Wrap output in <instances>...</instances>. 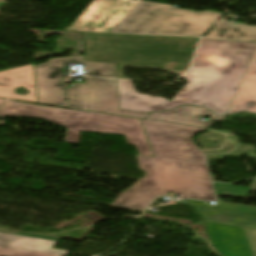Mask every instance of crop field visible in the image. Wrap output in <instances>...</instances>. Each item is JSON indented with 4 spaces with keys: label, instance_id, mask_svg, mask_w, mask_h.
Wrapping results in <instances>:
<instances>
[{
    "label": "crop field",
    "instance_id": "5",
    "mask_svg": "<svg viewBox=\"0 0 256 256\" xmlns=\"http://www.w3.org/2000/svg\"><path fill=\"white\" fill-rule=\"evenodd\" d=\"M223 15L141 0L110 33L200 38Z\"/></svg>",
    "mask_w": 256,
    "mask_h": 256
},
{
    "label": "crop field",
    "instance_id": "13",
    "mask_svg": "<svg viewBox=\"0 0 256 256\" xmlns=\"http://www.w3.org/2000/svg\"><path fill=\"white\" fill-rule=\"evenodd\" d=\"M205 116H210V119L207 120V122L198 121L200 117ZM224 118L225 117L214 115L212 112L206 110L205 108L182 106L176 110L162 113H151L148 119L209 128L214 121H223Z\"/></svg>",
    "mask_w": 256,
    "mask_h": 256
},
{
    "label": "crop field",
    "instance_id": "8",
    "mask_svg": "<svg viewBox=\"0 0 256 256\" xmlns=\"http://www.w3.org/2000/svg\"><path fill=\"white\" fill-rule=\"evenodd\" d=\"M140 0H93L66 30L109 33Z\"/></svg>",
    "mask_w": 256,
    "mask_h": 256
},
{
    "label": "crop field",
    "instance_id": "16",
    "mask_svg": "<svg viewBox=\"0 0 256 256\" xmlns=\"http://www.w3.org/2000/svg\"><path fill=\"white\" fill-rule=\"evenodd\" d=\"M214 185H215L216 193L218 195H225L230 197H239L240 195H247L249 190L251 189L247 187L221 185L216 183H214Z\"/></svg>",
    "mask_w": 256,
    "mask_h": 256
},
{
    "label": "crop field",
    "instance_id": "10",
    "mask_svg": "<svg viewBox=\"0 0 256 256\" xmlns=\"http://www.w3.org/2000/svg\"><path fill=\"white\" fill-rule=\"evenodd\" d=\"M210 241L223 256H252L243 228L205 222Z\"/></svg>",
    "mask_w": 256,
    "mask_h": 256
},
{
    "label": "crop field",
    "instance_id": "12",
    "mask_svg": "<svg viewBox=\"0 0 256 256\" xmlns=\"http://www.w3.org/2000/svg\"><path fill=\"white\" fill-rule=\"evenodd\" d=\"M240 111L256 113V49L227 114Z\"/></svg>",
    "mask_w": 256,
    "mask_h": 256
},
{
    "label": "crop field",
    "instance_id": "3",
    "mask_svg": "<svg viewBox=\"0 0 256 256\" xmlns=\"http://www.w3.org/2000/svg\"><path fill=\"white\" fill-rule=\"evenodd\" d=\"M86 61L117 63L118 78L122 66H141L183 74L190 65L199 40L148 36L84 33Z\"/></svg>",
    "mask_w": 256,
    "mask_h": 256
},
{
    "label": "crop field",
    "instance_id": "17",
    "mask_svg": "<svg viewBox=\"0 0 256 256\" xmlns=\"http://www.w3.org/2000/svg\"><path fill=\"white\" fill-rule=\"evenodd\" d=\"M0 256H54V255L0 248Z\"/></svg>",
    "mask_w": 256,
    "mask_h": 256
},
{
    "label": "crop field",
    "instance_id": "1",
    "mask_svg": "<svg viewBox=\"0 0 256 256\" xmlns=\"http://www.w3.org/2000/svg\"><path fill=\"white\" fill-rule=\"evenodd\" d=\"M155 158L137 156L144 178L121 193L113 208L143 212L156 196L181 194L182 198L215 200L205 156L191 136L205 128L142 120Z\"/></svg>",
    "mask_w": 256,
    "mask_h": 256
},
{
    "label": "crop field",
    "instance_id": "18",
    "mask_svg": "<svg viewBox=\"0 0 256 256\" xmlns=\"http://www.w3.org/2000/svg\"><path fill=\"white\" fill-rule=\"evenodd\" d=\"M253 256H256V230L244 228Z\"/></svg>",
    "mask_w": 256,
    "mask_h": 256
},
{
    "label": "crop field",
    "instance_id": "15",
    "mask_svg": "<svg viewBox=\"0 0 256 256\" xmlns=\"http://www.w3.org/2000/svg\"><path fill=\"white\" fill-rule=\"evenodd\" d=\"M204 39L256 42V26H232L222 19Z\"/></svg>",
    "mask_w": 256,
    "mask_h": 256
},
{
    "label": "crop field",
    "instance_id": "11",
    "mask_svg": "<svg viewBox=\"0 0 256 256\" xmlns=\"http://www.w3.org/2000/svg\"><path fill=\"white\" fill-rule=\"evenodd\" d=\"M60 239L32 234L0 233V247L66 256L68 251L52 249Z\"/></svg>",
    "mask_w": 256,
    "mask_h": 256
},
{
    "label": "crop field",
    "instance_id": "19",
    "mask_svg": "<svg viewBox=\"0 0 256 256\" xmlns=\"http://www.w3.org/2000/svg\"><path fill=\"white\" fill-rule=\"evenodd\" d=\"M0 83L4 84V85H7L9 83L8 76L1 78Z\"/></svg>",
    "mask_w": 256,
    "mask_h": 256
},
{
    "label": "crop field",
    "instance_id": "20",
    "mask_svg": "<svg viewBox=\"0 0 256 256\" xmlns=\"http://www.w3.org/2000/svg\"><path fill=\"white\" fill-rule=\"evenodd\" d=\"M0 232H4V231H0ZM6 233H19V232H6Z\"/></svg>",
    "mask_w": 256,
    "mask_h": 256
},
{
    "label": "crop field",
    "instance_id": "9",
    "mask_svg": "<svg viewBox=\"0 0 256 256\" xmlns=\"http://www.w3.org/2000/svg\"><path fill=\"white\" fill-rule=\"evenodd\" d=\"M204 221L256 229V207L217 202L215 208L190 200Z\"/></svg>",
    "mask_w": 256,
    "mask_h": 256
},
{
    "label": "crop field",
    "instance_id": "6",
    "mask_svg": "<svg viewBox=\"0 0 256 256\" xmlns=\"http://www.w3.org/2000/svg\"><path fill=\"white\" fill-rule=\"evenodd\" d=\"M68 63H83L88 75L117 78L116 64L85 62L84 56L49 59L35 66L39 103L56 105L65 102L62 69Z\"/></svg>",
    "mask_w": 256,
    "mask_h": 256
},
{
    "label": "crop field",
    "instance_id": "2",
    "mask_svg": "<svg viewBox=\"0 0 256 256\" xmlns=\"http://www.w3.org/2000/svg\"><path fill=\"white\" fill-rule=\"evenodd\" d=\"M255 46L201 40L190 69L182 76L188 83L171 102L138 93L131 81L118 80L120 109L150 113L192 104L226 115Z\"/></svg>",
    "mask_w": 256,
    "mask_h": 256
},
{
    "label": "crop field",
    "instance_id": "14",
    "mask_svg": "<svg viewBox=\"0 0 256 256\" xmlns=\"http://www.w3.org/2000/svg\"><path fill=\"white\" fill-rule=\"evenodd\" d=\"M6 75H9L10 84L7 86L0 85V97L36 102L34 73L32 65L0 71V77ZM20 86L30 90L25 97L14 93L16 87Z\"/></svg>",
    "mask_w": 256,
    "mask_h": 256
},
{
    "label": "crop field",
    "instance_id": "4",
    "mask_svg": "<svg viewBox=\"0 0 256 256\" xmlns=\"http://www.w3.org/2000/svg\"><path fill=\"white\" fill-rule=\"evenodd\" d=\"M0 116H21L44 119L67 127L65 143H79L80 131L123 134L129 145H136L139 154L151 156L139 119L71 111L6 101Z\"/></svg>",
    "mask_w": 256,
    "mask_h": 256
},
{
    "label": "crop field",
    "instance_id": "21",
    "mask_svg": "<svg viewBox=\"0 0 256 256\" xmlns=\"http://www.w3.org/2000/svg\"><path fill=\"white\" fill-rule=\"evenodd\" d=\"M3 101H4L3 99H0V104H1Z\"/></svg>",
    "mask_w": 256,
    "mask_h": 256
},
{
    "label": "crop field",
    "instance_id": "7",
    "mask_svg": "<svg viewBox=\"0 0 256 256\" xmlns=\"http://www.w3.org/2000/svg\"><path fill=\"white\" fill-rule=\"evenodd\" d=\"M66 89L69 108L145 119L149 115L119 110L117 80L114 79L86 77V83L74 84V87Z\"/></svg>",
    "mask_w": 256,
    "mask_h": 256
}]
</instances>
